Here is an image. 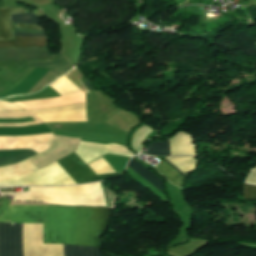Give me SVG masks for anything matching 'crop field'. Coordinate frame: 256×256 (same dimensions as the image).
I'll use <instances>...</instances> for the list:
<instances>
[{"label": "crop field", "instance_id": "1", "mask_svg": "<svg viewBox=\"0 0 256 256\" xmlns=\"http://www.w3.org/2000/svg\"><path fill=\"white\" fill-rule=\"evenodd\" d=\"M86 164L107 154H116L131 157L134 154L124 147L109 144L106 146L80 142L75 152ZM71 154L57 163L78 183L99 181L119 174L96 176L88 166L75 154ZM56 162L23 176L0 181V187L18 185H73L77 184Z\"/></svg>", "mask_w": 256, "mask_h": 256}, {"label": "crop field", "instance_id": "17", "mask_svg": "<svg viewBox=\"0 0 256 256\" xmlns=\"http://www.w3.org/2000/svg\"><path fill=\"white\" fill-rule=\"evenodd\" d=\"M65 77H67L71 82H73L78 88L82 89L86 93H88L87 89L84 87V85L81 83L80 79L82 75L75 67L73 70H71L69 73L65 74Z\"/></svg>", "mask_w": 256, "mask_h": 256}, {"label": "crop field", "instance_id": "15", "mask_svg": "<svg viewBox=\"0 0 256 256\" xmlns=\"http://www.w3.org/2000/svg\"><path fill=\"white\" fill-rule=\"evenodd\" d=\"M147 147L149 148L147 152L149 154L170 156L168 139L165 141L148 144Z\"/></svg>", "mask_w": 256, "mask_h": 256}, {"label": "crop field", "instance_id": "18", "mask_svg": "<svg viewBox=\"0 0 256 256\" xmlns=\"http://www.w3.org/2000/svg\"><path fill=\"white\" fill-rule=\"evenodd\" d=\"M13 22L29 23V24H38V20L32 13L20 14L11 16Z\"/></svg>", "mask_w": 256, "mask_h": 256}, {"label": "crop field", "instance_id": "14", "mask_svg": "<svg viewBox=\"0 0 256 256\" xmlns=\"http://www.w3.org/2000/svg\"><path fill=\"white\" fill-rule=\"evenodd\" d=\"M128 167H130L132 170H134L136 173H138L149 183H151L154 187L161 191L163 181L160 180L157 176H155L152 172L147 170L145 167H143L141 164H139L133 159L129 162Z\"/></svg>", "mask_w": 256, "mask_h": 256}, {"label": "crop field", "instance_id": "12", "mask_svg": "<svg viewBox=\"0 0 256 256\" xmlns=\"http://www.w3.org/2000/svg\"><path fill=\"white\" fill-rule=\"evenodd\" d=\"M167 162L171 167H173L176 171H178L182 176L186 177L180 170H178L174 165H172L166 159L164 160ZM162 161L161 163L157 164L158 168H156L161 174H163L169 182L179 186L182 188V183L184 181V177H182L178 172H176L173 168H171L167 163Z\"/></svg>", "mask_w": 256, "mask_h": 256}, {"label": "crop field", "instance_id": "20", "mask_svg": "<svg viewBox=\"0 0 256 256\" xmlns=\"http://www.w3.org/2000/svg\"><path fill=\"white\" fill-rule=\"evenodd\" d=\"M244 198L246 200H256V187L245 184Z\"/></svg>", "mask_w": 256, "mask_h": 256}, {"label": "crop field", "instance_id": "24", "mask_svg": "<svg viewBox=\"0 0 256 256\" xmlns=\"http://www.w3.org/2000/svg\"><path fill=\"white\" fill-rule=\"evenodd\" d=\"M15 35H24V36H46V34H21V33H15Z\"/></svg>", "mask_w": 256, "mask_h": 256}, {"label": "crop field", "instance_id": "16", "mask_svg": "<svg viewBox=\"0 0 256 256\" xmlns=\"http://www.w3.org/2000/svg\"><path fill=\"white\" fill-rule=\"evenodd\" d=\"M150 132H152L150 128L145 126H143L137 132H135L132 140V147L136 150L137 153L143 143V140Z\"/></svg>", "mask_w": 256, "mask_h": 256}, {"label": "crop field", "instance_id": "9", "mask_svg": "<svg viewBox=\"0 0 256 256\" xmlns=\"http://www.w3.org/2000/svg\"><path fill=\"white\" fill-rule=\"evenodd\" d=\"M24 12L25 10H23L21 7L0 8V40L13 39V24L10 18V14Z\"/></svg>", "mask_w": 256, "mask_h": 256}, {"label": "crop field", "instance_id": "10", "mask_svg": "<svg viewBox=\"0 0 256 256\" xmlns=\"http://www.w3.org/2000/svg\"><path fill=\"white\" fill-rule=\"evenodd\" d=\"M34 170L37 168L26 159L17 164L0 167V180L11 179Z\"/></svg>", "mask_w": 256, "mask_h": 256}, {"label": "crop field", "instance_id": "26", "mask_svg": "<svg viewBox=\"0 0 256 256\" xmlns=\"http://www.w3.org/2000/svg\"><path fill=\"white\" fill-rule=\"evenodd\" d=\"M126 139H127V137H126ZM81 141H82V139H81ZM86 142H88V141H86ZM95 143H99V144H103V145L108 144V143H100V142H95ZM115 144H117V143H115ZM118 145H122V146L126 147V141H125V144H118Z\"/></svg>", "mask_w": 256, "mask_h": 256}, {"label": "crop field", "instance_id": "22", "mask_svg": "<svg viewBox=\"0 0 256 256\" xmlns=\"http://www.w3.org/2000/svg\"><path fill=\"white\" fill-rule=\"evenodd\" d=\"M15 32H22V33H46L45 31L26 30V29H19V28H16Z\"/></svg>", "mask_w": 256, "mask_h": 256}, {"label": "crop field", "instance_id": "11", "mask_svg": "<svg viewBox=\"0 0 256 256\" xmlns=\"http://www.w3.org/2000/svg\"><path fill=\"white\" fill-rule=\"evenodd\" d=\"M46 44L45 37H23L15 36L14 40L0 41V47H44Z\"/></svg>", "mask_w": 256, "mask_h": 256}, {"label": "crop field", "instance_id": "7", "mask_svg": "<svg viewBox=\"0 0 256 256\" xmlns=\"http://www.w3.org/2000/svg\"><path fill=\"white\" fill-rule=\"evenodd\" d=\"M60 57L59 54L50 56L45 48H0V61L6 59L30 60Z\"/></svg>", "mask_w": 256, "mask_h": 256}, {"label": "crop field", "instance_id": "8", "mask_svg": "<svg viewBox=\"0 0 256 256\" xmlns=\"http://www.w3.org/2000/svg\"><path fill=\"white\" fill-rule=\"evenodd\" d=\"M84 102H86L85 93L81 91L78 93L66 95L59 98L15 102V104L22 106L25 109H33V108H45V107H57V106H64L72 103H84Z\"/></svg>", "mask_w": 256, "mask_h": 256}, {"label": "crop field", "instance_id": "13", "mask_svg": "<svg viewBox=\"0 0 256 256\" xmlns=\"http://www.w3.org/2000/svg\"><path fill=\"white\" fill-rule=\"evenodd\" d=\"M28 67L49 68L58 73H66L72 69L62 57L53 61H28Z\"/></svg>", "mask_w": 256, "mask_h": 256}, {"label": "crop field", "instance_id": "6", "mask_svg": "<svg viewBox=\"0 0 256 256\" xmlns=\"http://www.w3.org/2000/svg\"><path fill=\"white\" fill-rule=\"evenodd\" d=\"M53 135L0 137V150L32 149L38 153L48 149ZM27 150L0 151V157L17 156Z\"/></svg>", "mask_w": 256, "mask_h": 256}, {"label": "crop field", "instance_id": "21", "mask_svg": "<svg viewBox=\"0 0 256 256\" xmlns=\"http://www.w3.org/2000/svg\"><path fill=\"white\" fill-rule=\"evenodd\" d=\"M16 27L19 28H27V29H38V30H43L41 27H39L38 25H29V24H19L16 23Z\"/></svg>", "mask_w": 256, "mask_h": 256}, {"label": "crop field", "instance_id": "19", "mask_svg": "<svg viewBox=\"0 0 256 256\" xmlns=\"http://www.w3.org/2000/svg\"><path fill=\"white\" fill-rule=\"evenodd\" d=\"M37 153L33 152V151H28L24 154H21L17 157H14V158H0V166H3V165H8V164H13V163H16L20 160H23V159H26V158H29L33 155H35Z\"/></svg>", "mask_w": 256, "mask_h": 256}, {"label": "crop field", "instance_id": "3", "mask_svg": "<svg viewBox=\"0 0 256 256\" xmlns=\"http://www.w3.org/2000/svg\"><path fill=\"white\" fill-rule=\"evenodd\" d=\"M64 256H102L94 247L63 245ZM62 245H42V224H23L24 256H63ZM0 256H23L22 224L0 223Z\"/></svg>", "mask_w": 256, "mask_h": 256}, {"label": "crop field", "instance_id": "5", "mask_svg": "<svg viewBox=\"0 0 256 256\" xmlns=\"http://www.w3.org/2000/svg\"><path fill=\"white\" fill-rule=\"evenodd\" d=\"M109 220L110 208L77 207L76 245L100 249L101 238Z\"/></svg>", "mask_w": 256, "mask_h": 256}, {"label": "crop field", "instance_id": "4", "mask_svg": "<svg viewBox=\"0 0 256 256\" xmlns=\"http://www.w3.org/2000/svg\"><path fill=\"white\" fill-rule=\"evenodd\" d=\"M28 192L2 193L14 195V200L41 201L66 205H102L106 206L100 182L71 187H29Z\"/></svg>", "mask_w": 256, "mask_h": 256}, {"label": "crop field", "instance_id": "25", "mask_svg": "<svg viewBox=\"0 0 256 256\" xmlns=\"http://www.w3.org/2000/svg\"><path fill=\"white\" fill-rule=\"evenodd\" d=\"M0 7H7L5 0H0Z\"/></svg>", "mask_w": 256, "mask_h": 256}, {"label": "crop field", "instance_id": "2", "mask_svg": "<svg viewBox=\"0 0 256 256\" xmlns=\"http://www.w3.org/2000/svg\"><path fill=\"white\" fill-rule=\"evenodd\" d=\"M0 222L43 223V244L75 245L76 207L9 205Z\"/></svg>", "mask_w": 256, "mask_h": 256}, {"label": "crop field", "instance_id": "23", "mask_svg": "<svg viewBox=\"0 0 256 256\" xmlns=\"http://www.w3.org/2000/svg\"><path fill=\"white\" fill-rule=\"evenodd\" d=\"M12 201H10V200H8V199H6L5 198V200L3 201V203L0 205V214H1V212L6 208V206L8 205V204H10Z\"/></svg>", "mask_w": 256, "mask_h": 256}]
</instances>
